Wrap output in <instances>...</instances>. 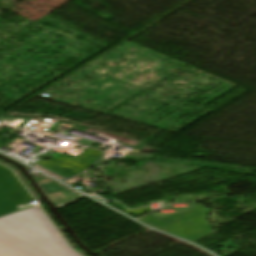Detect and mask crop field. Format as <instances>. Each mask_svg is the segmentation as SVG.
Here are the masks:
<instances>
[{"instance_id": "crop-field-6", "label": "crop field", "mask_w": 256, "mask_h": 256, "mask_svg": "<svg viewBox=\"0 0 256 256\" xmlns=\"http://www.w3.org/2000/svg\"><path fill=\"white\" fill-rule=\"evenodd\" d=\"M31 165L36 167V168H38V169H40V170H42V171H44V172H46V173H48V174H50V175H52V176H54V177H56V178H58L59 180H64L62 177H60V176H58V175H56V174H54V173H52V172H50L48 170H46V169L36 165V164H31Z\"/></svg>"}, {"instance_id": "crop-field-3", "label": "crop field", "mask_w": 256, "mask_h": 256, "mask_svg": "<svg viewBox=\"0 0 256 256\" xmlns=\"http://www.w3.org/2000/svg\"><path fill=\"white\" fill-rule=\"evenodd\" d=\"M208 213L205 207L196 205L166 232L192 241L211 231L207 222Z\"/></svg>"}, {"instance_id": "crop-field-2", "label": "crop field", "mask_w": 256, "mask_h": 256, "mask_svg": "<svg viewBox=\"0 0 256 256\" xmlns=\"http://www.w3.org/2000/svg\"><path fill=\"white\" fill-rule=\"evenodd\" d=\"M32 196L11 170L0 165V216L31 206Z\"/></svg>"}, {"instance_id": "crop-field-4", "label": "crop field", "mask_w": 256, "mask_h": 256, "mask_svg": "<svg viewBox=\"0 0 256 256\" xmlns=\"http://www.w3.org/2000/svg\"><path fill=\"white\" fill-rule=\"evenodd\" d=\"M102 154L103 153L100 151L87 149L76 159L60 155L54 160H43L37 163L65 178H68L85 170Z\"/></svg>"}, {"instance_id": "crop-field-5", "label": "crop field", "mask_w": 256, "mask_h": 256, "mask_svg": "<svg viewBox=\"0 0 256 256\" xmlns=\"http://www.w3.org/2000/svg\"><path fill=\"white\" fill-rule=\"evenodd\" d=\"M187 212L184 213H180V214H176V215H172V216H168V217H164L163 219H166L168 221L173 222L172 224L166 223L164 221H161L159 219L153 218L151 216H146L142 219H140L141 221L156 227L158 229H161L163 231H165L166 229H168L171 225H173L177 220H179L183 215H185Z\"/></svg>"}, {"instance_id": "crop-field-1", "label": "crop field", "mask_w": 256, "mask_h": 256, "mask_svg": "<svg viewBox=\"0 0 256 256\" xmlns=\"http://www.w3.org/2000/svg\"><path fill=\"white\" fill-rule=\"evenodd\" d=\"M0 256H81L73 251L41 208L0 219Z\"/></svg>"}, {"instance_id": "crop-field-7", "label": "crop field", "mask_w": 256, "mask_h": 256, "mask_svg": "<svg viewBox=\"0 0 256 256\" xmlns=\"http://www.w3.org/2000/svg\"><path fill=\"white\" fill-rule=\"evenodd\" d=\"M119 209L124 210V211H128V210H127L126 208H124L123 206L120 207Z\"/></svg>"}]
</instances>
